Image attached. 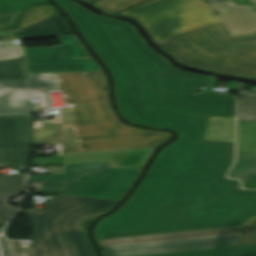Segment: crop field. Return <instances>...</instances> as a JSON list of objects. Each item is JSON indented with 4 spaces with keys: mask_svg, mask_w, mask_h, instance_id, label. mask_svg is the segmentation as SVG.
Instances as JSON below:
<instances>
[{
    "mask_svg": "<svg viewBox=\"0 0 256 256\" xmlns=\"http://www.w3.org/2000/svg\"><path fill=\"white\" fill-rule=\"evenodd\" d=\"M104 72L29 74L24 79L0 80V115L22 114L50 107L48 90L61 89L79 151L157 147L171 134L146 131L121 122L109 107ZM55 123L54 121L33 124ZM71 126V123H70ZM73 148L77 151L72 132Z\"/></svg>",
    "mask_w": 256,
    "mask_h": 256,
    "instance_id": "2",
    "label": "crop field"
},
{
    "mask_svg": "<svg viewBox=\"0 0 256 256\" xmlns=\"http://www.w3.org/2000/svg\"><path fill=\"white\" fill-rule=\"evenodd\" d=\"M120 14L142 20L155 40L221 21L205 0H153Z\"/></svg>",
    "mask_w": 256,
    "mask_h": 256,
    "instance_id": "6",
    "label": "crop field"
},
{
    "mask_svg": "<svg viewBox=\"0 0 256 256\" xmlns=\"http://www.w3.org/2000/svg\"><path fill=\"white\" fill-rule=\"evenodd\" d=\"M13 215L0 217V224H7Z\"/></svg>",
    "mask_w": 256,
    "mask_h": 256,
    "instance_id": "30",
    "label": "crop field"
},
{
    "mask_svg": "<svg viewBox=\"0 0 256 256\" xmlns=\"http://www.w3.org/2000/svg\"><path fill=\"white\" fill-rule=\"evenodd\" d=\"M112 161L65 164L62 174L28 176L44 193L121 200L141 169H108Z\"/></svg>",
    "mask_w": 256,
    "mask_h": 256,
    "instance_id": "5",
    "label": "crop field"
},
{
    "mask_svg": "<svg viewBox=\"0 0 256 256\" xmlns=\"http://www.w3.org/2000/svg\"><path fill=\"white\" fill-rule=\"evenodd\" d=\"M210 5L219 13L232 35L256 33V10L239 0H217Z\"/></svg>",
    "mask_w": 256,
    "mask_h": 256,
    "instance_id": "11",
    "label": "crop field"
},
{
    "mask_svg": "<svg viewBox=\"0 0 256 256\" xmlns=\"http://www.w3.org/2000/svg\"><path fill=\"white\" fill-rule=\"evenodd\" d=\"M57 13L58 12L51 5L31 6L25 11V14L23 16V19H22L19 29L5 30L6 35L12 39H18L13 34L19 32L33 24H36L52 15H55Z\"/></svg>",
    "mask_w": 256,
    "mask_h": 256,
    "instance_id": "17",
    "label": "crop field"
},
{
    "mask_svg": "<svg viewBox=\"0 0 256 256\" xmlns=\"http://www.w3.org/2000/svg\"><path fill=\"white\" fill-rule=\"evenodd\" d=\"M153 149L66 153L64 163L113 160L111 167L143 166Z\"/></svg>",
    "mask_w": 256,
    "mask_h": 256,
    "instance_id": "12",
    "label": "crop field"
},
{
    "mask_svg": "<svg viewBox=\"0 0 256 256\" xmlns=\"http://www.w3.org/2000/svg\"><path fill=\"white\" fill-rule=\"evenodd\" d=\"M153 256H256V245L225 249H204L186 252L157 254Z\"/></svg>",
    "mask_w": 256,
    "mask_h": 256,
    "instance_id": "16",
    "label": "crop field"
},
{
    "mask_svg": "<svg viewBox=\"0 0 256 256\" xmlns=\"http://www.w3.org/2000/svg\"><path fill=\"white\" fill-rule=\"evenodd\" d=\"M157 42L184 63L256 78V37L231 38L221 22Z\"/></svg>",
    "mask_w": 256,
    "mask_h": 256,
    "instance_id": "4",
    "label": "crop field"
},
{
    "mask_svg": "<svg viewBox=\"0 0 256 256\" xmlns=\"http://www.w3.org/2000/svg\"><path fill=\"white\" fill-rule=\"evenodd\" d=\"M256 244V232L244 233L242 245Z\"/></svg>",
    "mask_w": 256,
    "mask_h": 256,
    "instance_id": "28",
    "label": "crop field"
},
{
    "mask_svg": "<svg viewBox=\"0 0 256 256\" xmlns=\"http://www.w3.org/2000/svg\"><path fill=\"white\" fill-rule=\"evenodd\" d=\"M242 233L102 248L104 256L157 254L239 244Z\"/></svg>",
    "mask_w": 256,
    "mask_h": 256,
    "instance_id": "8",
    "label": "crop field"
},
{
    "mask_svg": "<svg viewBox=\"0 0 256 256\" xmlns=\"http://www.w3.org/2000/svg\"><path fill=\"white\" fill-rule=\"evenodd\" d=\"M23 49L28 73L102 71L93 59L71 60L62 46Z\"/></svg>",
    "mask_w": 256,
    "mask_h": 256,
    "instance_id": "9",
    "label": "crop field"
},
{
    "mask_svg": "<svg viewBox=\"0 0 256 256\" xmlns=\"http://www.w3.org/2000/svg\"><path fill=\"white\" fill-rule=\"evenodd\" d=\"M46 2L47 0H0V13L22 11L30 5Z\"/></svg>",
    "mask_w": 256,
    "mask_h": 256,
    "instance_id": "22",
    "label": "crop field"
},
{
    "mask_svg": "<svg viewBox=\"0 0 256 256\" xmlns=\"http://www.w3.org/2000/svg\"><path fill=\"white\" fill-rule=\"evenodd\" d=\"M144 256H152V255H144Z\"/></svg>",
    "mask_w": 256,
    "mask_h": 256,
    "instance_id": "35",
    "label": "crop field"
},
{
    "mask_svg": "<svg viewBox=\"0 0 256 256\" xmlns=\"http://www.w3.org/2000/svg\"><path fill=\"white\" fill-rule=\"evenodd\" d=\"M16 210L8 204L7 196L0 197V216L14 214Z\"/></svg>",
    "mask_w": 256,
    "mask_h": 256,
    "instance_id": "27",
    "label": "crop field"
},
{
    "mask_svg": "<svg viewBox=\"0 0 256 256\" xmlns=\"http://www.w3.org/2000/svg\"><path fill=\"white\" fill-rule=\"evenodd\" d=\"M33 126L30 115L0 117V165L27 167Z\"/></svg>",
    "mask_w": 256,
    "mask_h": 256,
    "instance_id": "7",
    "label": "crop field"
},
{
    "mask_svg": "<svg viewBox=\"0 0 256 256\" xmlns=\"http://www.w3.org/2000/svg\"><path fill=\"white\" fill-rule=\"evenodd\" d=\"M142 1L144 0H101L97 3L102 9L115 13Z\"/></svg>",
    "mask_w": 256,
    "mask_h": 256,
    "instance_id": "23",
    "label": "crop field"
},
{
    "mask_svg": "<svg viewBox=\"0 0 256 256\" xmlns=\"http://www.w3.org/2000/svg\"><path fill=\"white\" fill-rule=\"evenodd\" d=\"M71 59L91 58L75 35L58 37Z\"/></svg>",
    "mask_w": 256,
    "mask_h": 256,
    "instance_id": "20",
    "label": "crop field"
},
{
    "mask_svg": "<svg viewBox=\"0 0 256 256\" xmlns=\"http://www.w3.org/2000/svg\"><path fill=\"white\" fill-rule=\"evenodd\" d=\"M116 202L58 195L44 211H21L32 224L34 256H94L81 223Z\"/></svg>",
    "mask_w": 256,
    "mask_h": 256,
    "instance_id": "3",
    "label": "crop field"
},
{
    "mask_svg": "<svg viewBox=\"0 0 256 256\" xmlns=\"http://www.w3.org/2000/svg\"><path fill=\"white\" fill-rule=\"evenodd\" d=\"M256 231V225L246 226L245 232Z\"/></svg>",
    "mask_w": 256,
    "mask_h": 256,
    "instance_id": "31",
    "label": "crop field"
},
{
    "mask_svg": "<svg viewBox=\"0 0 256 256\" xmlns=\"http://www.w3.org/2000/svg\"><path fill=\"white\" fill-rule=\"evenodd\" d=\"M235 119L210 117L204 140L234 142Z\"/></svg>",
    "mask_w": 256,
    "mask_h": 256,
    "instance_id": "15",
    "label": "crop field"
},
{
    "mask_svg": "<svg viewBox=\"0 0 256 256\" xmlns=\"http://www.w3.org/2000/svg\"><path fill=\"white\" fill-rule=\"evenodd\" d=\"M229 178L256 181V121H238V155Z\"/></svg>",
    "mask_w": 256,
    "mask_h": 256,
    "instance_id": "10",
    "label": "crop field"
},
{
    "mask_svg": "<svg viewBox=\"0 0 256 256\" xmlns=\"http://www.w3.org/2000/svg\"><path fill=\"white\" fill-rule=\"evenodd\" d=\"M24 56L22 47L12 41L0 42V60Z\"/></svg>",
    "mask_w": 256,
    "mask_h": 256,
    "instance_id": "24",
    "label": "crop field"
},
{
    "mask_svg": "<svg viewBox=\"0 0 256 256\" xmlns=\"http://www.w3.org/2000/svg\"><path fill=\"white\" fill-rule=\"evenodd\" d=\"M56 1L111 67L123 116L180 134L159 154L129 204L97 226L98 240L243 225L256 211V191L226 178L234 143L203 141L209 116L235 118L234 96L194 94L213 78L170 66L128 23Z\"/></svg>",
    "mask_w": 256,
    "mask_h": 256,
    "instance_id": "1",
    "label": "crop field"
},
{
    "mask_svg": "<svg viewBox=\"0 0 256 256\" xmlns=\"http://www.w3.org/2000/svg\"><path fill=\"white\" fill-rule=\"evenodd\" d=\"M22 13V12H21ZM20 13L0 17V28H12L16 26V19Z\"/></svg>",
    "mask_w": 256,
    "mask_h": 256,
    "instance_id": "26",
    "label": "crop field"
},
{
    "mask_svg": "<svg viewBox=\"0 0 256 256\" xmlns=\"http://www.w3.org/2000/svg\"><path fill=\"white\" fill-rule=\"evenodd\" d=\"M209 1H214V0H209Z\"/></svg>",
    "mask_w": 256,
    "mask_h": 256,
    "instance_id": "36",
    "label": "crop field"
},
{
    "mask_svg": "<svg viewBox=\"0 0 256 256\" xmlns=\"http://www.w3.org/2000/svg\"><path fill=\"white\" fill-rule=\"evenodd\" d=\"M245 84L244 83H239L237 82V86H236V90L239 91V90H244V87Z\"/></svg>",
    "mask_w": 256,
    "mask_h": 256,
    "instance_id": "32",
    "label": "crop field"
},
{
    "mask_svg": "<svg viewBox=\"0 0 256 256\" xmlns=\"http://www.w3.org/2000/svg\"><path fill=\"white\" fill-rule=\"evenodd\" d=\"M70 34L73 33L68 23L60 14H57L15 35L20 39H30Z\"/></svg>",
    "mask_w": 256,
    "mask_h": 256,
    "instance_id": "14",
    "label": "crop field"
},
{
    "mask_svg": "<svg viewBox=\"0 0 256 256\" xmlns=\"http://www.w3.org/2000/svg\"><path fill=\"white\" fill-rule=\"evenodd\" d=\"M27 78L24 57L0 61V79Z\"/></svg>",
    "mask_w": 256,
    "mask_h": 256,
    "instance_id": "19",
    "label": "crop field"
},
{
    "mask_svg": "<svg viewBox=\"0 0 256 256\" xmlns=\"http://www.w3.org/2000/svg\"><path fill=\"white\" fill-rule=\"evenodd\" d=\"M247 3H249L250 5L256 7V0H245Z\"/></svg>",
    "mask_w": 256,
    "mask_h": 256,
    "instance_id": "34",
    "label": "crop field"
},
{
    "mask_svg": "<svg viewBox=\"0 0 256 256\" xmlns=\"http://www.w3.org/2000/svg\"><path fill=\"white\" fill-rule=\"evenodd\" d=\"M244 188H256V182H245L243 183Z\"/></svg>",
    "mask_w": 256,
    "mask_h": 256,
    "instance_id": "29",
    "label": "crop field"
},
{
    "mask_svg": "<svg viewBox=\"0 0 256 256\" xmlns=\"http://www.w3.org/2000/svg\"><path fill=\"white\" fill-rule=\"evenodd\" d=\"M251 224H256V215H254L252 217V219L250 221H248V223L246 225H251Z\"/></svg>",
    "mask_w": 256,
    "mask_h": 256,
    "instance_id": "33",
    "label": "crop field"
},
{
    "mask_svg": "<svg viewBox=\"0 0 256 256\" xmlns=\"http://www.w3.org/2000/svg\"><path fill=\"white\" fill-rule=\"evenodd\" d=\"M238 101V120H256V92H246Z\"/></svg>",
    "mask_w": 256,
    "mask_h": 256,
    "instance_id": "21",
    "label": "crop field"
},
{
    "mask_svg": "<svg viewBox=\"0 0 256 256\" xmlns=\"http://www.w3.org/2000/svg\"><path fill=\"white\" fill-rule=\"evenodd\" d=\"M243 226L99 241L101 247L242 232Z\"/></svg>",
    "mask_w": 256,
    "mask_h": 256,
    "instance_id": "13",
    "label": "crop field"
},
{
    "mask_svg": "<svg viewBox=\"0 0 256 256\" xmlns=\"http://www.w3.org/2000/svg\"><path fill=\"white\" fill-rule=\"evenodd\" d=\"M7 256H33V248H20L19 242L3 240Z\"/></svg>",
    "mask_w": 256,
    "mask_h": 256,
    "instance_id": "25",
    "label": "crop field"
},
{
    "mask_svg": "<svg viewBox=\"0 0 256 256\" xmlns=\"http://www.w3.org/2000/svg\"><path fill=\"white\" fill-rule=\"evenodd\" d=\"M24 177L25 174L0 175V195H8V198L11 199L26 192Z\"/></svg>",
    "mask_w": 256,
    "mask_h": 256,
    "instance_id": "18",
    "label": "crop field"
}]
</instances>
